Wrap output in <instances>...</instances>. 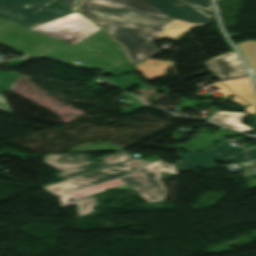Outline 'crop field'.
I'll return each mask as SVG.
<instances>
[{
  "label": "crop field",
  "mask_w": 256,
  "mask_h": 256,
  "mask_svg": "<svg viewBox=\"0 0 256 256\" xmlns=\"http://www.w3.org/2000/svg\"><path fill=\"white\" fill-rule=\"evenodd\" d=\"M79 11L122 44L134 64L160 52L151 40H176L213 19L209 0H81Z\"/></svg>",
  "instance_id": "8a807250"
},
{
  "label": "crop field",
  "mask_w": 256,
  "mask_h": 256,
  "mask_svg": "<svg viewBox=\"0 0 256 256\" xmlns=\"http://www.w3.org/2000/svg\"><path fill=\"white\" fill-rule=\"evenodd\" d=\"M74 155V157H71ZM54 156V158H52ZM51 159V160H49ZM107 166L131 159L125 151L100 158ZM43 162L63 171L57 176L66 179L98 168L105 167L102 162H90L82 153L47 154ZM148 162L131 159L103 169L66 179L62 182L43 187L50 193L59 196L91 185L105 182L131 173ZM59 185V187H57Z\"/></svg>",
  "instance_id": "ac0d7876"
},
{
  "label": "crop field",
  "mask_w": 256,
  "mask_h": 256,
  "mask_svg": "<svg viewBox=\"0 0 256 256\" xmlns=\"http://www.w3.org/2000/svg\"><path fill=\"white\" fill-rule=\"evenodd\" d=\"M163 166H165V168H163ZM162 171L174 174L178 173L172 165L158 159L127 176L62 195L61 198L59 196L61 201L59 207L62 208L75 203L77 208H79L77 211L78 215H84L93 211V206L96 205L94 197L90 196L91 194L104 191L107 188H114L125 183L135 191L139 192V195L144 197L148 202L163 201L166 192L159 181ZM70 198L75 201L67 202L66 200Z\"/></svg>",
  "instance_id": "34b2d1b8"
},
{
  "label": "crop field",
  "mask_w": 256,
  "mask_h": 256,
  "mask_svg": "<svg viewBox=\"0 0 256 256\" xmlns=\"http://www.w3.org/2000/svg\"><path fill=\"white\" fill-rule=\"evenodd\" d=\"M68 13L57 0H0V18L27 28Z\"/></svg>",
  "instance_id": "412701ff"
},
{
  "label": "crop field",
  "mask_w": 256,
  "mask_h": 256,
  "mask_svg": "<svg viewBox=\"0 0 256 256\" xmlns=\"http://www.w3.org/2000/svg\"><path fill=\"white\" fill-rule=\"evenodd\" d=\"M30 29L75 45L100 27L75 12Z\"/></svg>",
  "instance_id": "f4fd0767"
},
{
  "label": "crop field",
  "mask_w": 256,
  "mask_h": 256,
  "mask_svg": "<svg viewBox=\"0 0 256 256\" xmlns=\"http://www.w3.org/2000/svg\"><path fill=\"white\" fill-rule=\"evenodd\" d=\"M246 151H250V153H246ZM178 156L182 159L177 165L173 164V166L178 171H182L190 170L189 167L196 169L213 166L215 160L240 162L256 159V148L251 150H237L226 142L220 141L203 153L178 154ZM229 156L233 157L229 158ZM245 156L247 158H244ZM181 167L184 169H181Z\"/></svg>",
  "instance_id": "dd49c442"
},
{
  "label": "crop field",
  "mask_w": 256,
  "mask_h": 256,
  "mask_svg": "<svg viewBox=\"0 0 256 256\" xmlns=\"http://www.w3.org/2000/svg\"><path fill=\"white\" fill-rule=\"evenodd\" d=\"M53 39L10 22L0 25V44L25 52L22 58L32 57Z\"/></svg>",
  "instance_id": "e52e79f7"
},
{
  "label": "crop field",
  "mask_w": 256,
  "mask_h": 256,
  "mask_svg": "<svg viewBox=\"0 0 256 256\" xmlns=\"http://www.w3.org/2000/svg\"><path fill=\"white\" fill-rule=\"evenodd\" d=\"M44 55L57 58L74 65L88 67L91 69H95L107 57L110 56L109 54H94L58 40L54 41L52 44H50L47 48H45L35 57ZM75 60H79L82 62L77 63L74 62Z\"/></svg>",
  "instance_id": "d8731c3e"
},
{
  "label": "crop field",
  "mask_w": 256,
  "mask_h": 256,
  "mask_svg": "<svg viewBox=\"0 0 256 256\" xmlns=\"http://www.w3.org/2000/svg\"><path fill=\"white\" fill-rule=\"evenodd\" d=\"M239 58V57H238ZM234 51L217 56L206 62L207 68L219 79L247 76Z\"/></svg>",
  "instance_id": "5a996713"
},
{
  "label": "crop field",
  "mask_w": 256,
  "mask_h": 256,
  "mask_svg": "<svg viewBox=\"0 0 256 256\" xmlns=\"http://www.w3.org/2000/svg\"><path fill=\"white\" fill-rule=\"evenodd\" d=\"M105 33V32H104ZM102 30L93 34L89 38L80 42L76 46L86 49L88 51L93 50L95 52H108L119 63L124 59L121 47L114 43L108 36H106Z\"/></svg>",
  "instance_id": "3316defc"
},
{
  "label": "crop field",
  "mask_w": 256,
  "mask_h": 256,
  "mask_svg": "<svg viewBox=\"0 0 256 256\" xmlns=\"http://www.w3.org/2000/svg\"><path fill=\"white\" fill-rule=\"evenodd\" d=\"M209 109L213 111L211 116L206 118V121L210 123L242 132H247L252 129L249 126L240 123L249 114L219 111L214 106Z\"/></svg>",
  "instance_id": "28ad6ade"
},
{
  "label": "crop field",
  "mask_w": 256,
  "mask_h": 256,
  "mask_svg": "<svg viewBox=\"0 0 256 256\" xmlns=\"http://www.w3.org/2000/svg\"><path fill=\"white\" fill-rule=\"evenodd\" d=\"M223 83L239 97L251 103L250 106L244 108L246 112L255 113L256 100L249 78L228 80L223 81Z\"/></svg>",
  "instance_id": "d1516ede"
},
{
  "label": "crop field",
  "mask_w": 256,
  "mask_h": 256,
  "mask_svg": "<svg viewBox=\"0 0 256 256\" xmlns=\"http://www.w3.org/2000/svg\"><path fill=\"white\" fill-rule=\"evenodd\" d=\"M152 63V64H149ZM148 65V66H145ZM137 71L141 72L143 77L148 80H153L162 77L166 73V69L170 67V62L147 59L138 64Z\"/></svg>",
  "instance_id": "22f410ed"
},
{
  "label": "crop field",
  "mask_w": 256,
  "mask_h": 256,
  "mask_svg": "<svg viewBox=\"0 0 256 256\" xmlns=\"http://www.w3.org/2000/svg\"><path fill=\"white\" fill-rule=\"evenodd\" d=\"M18 75L12 72H1L0 71V92H5L9 87V82L14 80Z\"/></svg>",
  "instance_id": "cbeb9de0"
},
{
  "label": "crop field",
  "mask_w": 256,
  "mask_h": 256,
  "mask_svg": "<svg viewBox=\"0 0 256 256\" xmlns=\"http://www.w3.org/2000/svg\"><path fill=\"white\" fill-rule=\"evenodd\" d=\"M215 86H217V87H219V88H221L220 90H218L217 92H220V93H222L223 95H224V97H225V99H227L226 97H227V95H229V94H231V95H233V99H231V100H233V101H235V102H237V103H239L241 106H246V105H248V103H246L244 100H242V99H240V98H238L237 96H235V94H233L228 88H226L221 82H219V83H217V84H214Z\"/></svg>",
  "instance_id": "5142ce71"
},
{
  "label": "crop field",
  "mask_w": 256,
  "mask_h": 256,
  "mask_svg": "<svg viewBox=\"0 0 256 256\" xmlns=\"http://www.w3.org/2000/svg\"><path fill=\"white\" fill-rule=\"evenodd\" d=\"M112 74L115 75V76H119L120 77L119 79H115V77L112 78V79H109L111 82L115 83L116 85H118V86H120V87H122L124 89H126V88H128V87L133 85L132 83H130L126 78H124L117 71L112 72Z\"/></svg>",
  "instance_id": "d9b57169"
},
{
  "label": "crop field",
  "mask_w": 256,
  "mask_h": 256,
  "mask_svg": "<svg viewBox=\"0 0 256 256\" xmlns=\"http://www.w3.org/2000/svg\"><path fill=\"white\" fill-rule=\"evenodd\" d=\"M108 58V57H107ZM119 65V63L114 60L111 56L105 60L99 67H97L96 69H102V70H106L109 71L112 68H114L115 66Z\"/></svg>",
  "instance_id": "733c2abd"
},
{
  "label": "crop field",
  "mask_w": 256,
  "mask_h": 256,
  "mask_svg": "<svg viewBox=\"0 0 256 256\" xmlns=\"http://www.w3.org/2000/svg\"><path fill=\"white\" fill-rule=\"evenodd\" d=\"M58 1H60L62 4H64L66 7H68L73 12L76 11V4H77L78 0H58Z\"/></svg>",
  "instance_id": "4a817a6b"
},
{
  "label": "crop field",
  "mask_w": 256,
  "mask_h": 256,
  "mask_svg": "<svg viewBox=\"0 0 256 256\" xmlns=\"http://www.w3.org/2000/svg\"><path fill=\"white\" fill-rule=\"evenodd\" d=\"M1 94L2 93H0V111H5V112L11 113L12 111L10 112V110H9L10 108L8 109L6 103L4 102V100L1 97Z\"/></svg>",
  "instance_id": "bc2a9ffb"
},
{
  "label": "crop field",
  "mask_w": 256,
  "mask_h": 256,
  "mask_svg": "<svg viewBox=\"0 0 256 256\" xmlns=\"http://www.w3.org/2000/svg\"><path fill=\"white\" fill-rule=\"evenodd\" d=\"M244 171L256 169V161L242 164Z\"/></svg>",
  "instance_id": "214f88e0"
},
{
  "label": "crop field",
  "mask_w": 256,
  "mask_h": 256,
  "mask_svg": "<svg viewBox=\"0 0 256 256\" xmlns=\"http://www.w3.org/2000/svg\"><path fill=\"white\" fill-rule=\"evenodd\" d=\"M25 61L27 60H14V61H8V62H9V66H15Z\"/></svg>",
  "instance_id": "92a150f3"
},
{
  "label": "crop field",
  "mask_w": 256,
  "mask_h": 256,
  "mask_svg": "<svg viewBox=\"0 0 256 256\" xmlns=\"http://www.w3.org/2000/svg\"><path fill=\"white\" fill-rule=\"evenodd\" d=\"M253 172H256V170L246 171V172H243V174H248V173H253Z\"/></svg>",
  "instance_id": "dafd665d"
},
{
  "label": "crop field",
  "mask_w": 256,
  "mask_h": 256,
  "mask_svg": "<svg viewBox=\"0 0 256 256\" xmlns=\"http://www.w3.org/2000/svg\"><path fill=\"white\" fill-rule=\"evenodd\" d=\"M3 22H5V20L0 19V24L3 23Z\"/></svg>",
  "instance_id": "00972430"
},
{
  "label": "crop field",
  "mask_w": 256,
  "mask_h": 256,
  "mask_svg": "<svg viewBox=\"0 0 256 256\" xmlns=\"http://www.w3.org/2000/svg\"><path fill=\"white\" fill-rule=\"evenodd\" d=\"M256 78V77H255Z\"/></svg>",
  "instance_id": "a9b5d70f"
}]
</instances>
